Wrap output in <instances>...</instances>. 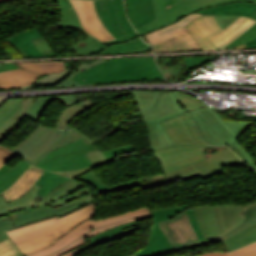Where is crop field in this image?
<instances>
[{
    "label": "crop field",
    "mask_w": 256,
    "mask_h": 256,
    "mask_svg": "<svg viewBox=\"0 0 256 256\" xmlns=\"http://www.w3.org/2000/svg\"><path fill=\"white\" fill-rule=\"evenodd\" d=\"M6 1H11V0H0V3L6 2Z\"/></svg>",
    "instance_id": "447ae74e"
},
{
    "label": "crop field",
    "mask_w": 256,
    "mask_h": 256,
    "mask_svg": "<svg viewBox=\"0 0 256 256\" xmlns=\"http://www.w3.org/2000/svg\"><path fill=\"white\" fill-rule=\"evenodd\" d=\"M31 41L44 57H57L55 52L43 36L31 39Z\"/></svg>",
    "instance_id": "c21b1889"
},
{
    "label": "crop field",
    "mask_w": 256,
    "mask_h": 256,
    "mask_svg": "<svg viewBox=\"0 0 256 256\" xmlns=\"http://www.w3.org/2000/svg\"><path fill=\"white\" fill-rule=\"evenodd\" d=\"M40 76L23 68L0 73V88H19L33 84Z\"/></svg>",
    "instance_id": "4177f3b9"
},
{
    "label": "crop field",
    "mask_w": 256,
    "mask_h": 256,
    "mask_svg": "<svg viewBox=\"0 0 256 256\" xmlns=\"http://www.w3.org/2000/svg\"><path fill=\"white\" fill-rule=\"evenodd\" d=\"M56 134L57 132L42 127L14 152L28 160L47 145Z\"/></svg>",
    "instance_id": "00972430"
},
{
    "label": "crop field",
    "mask_w": 256,
    "mask_h": 256,
    "mask_svg": "<svg viewBox=\"0 0 256 256\" xmlns=\"http://www.w3.org/2000/svg\"><path fill=\"white\" fill-rule=\"evenodd\" d=\"M214 17L216 18L222 29H224L239 16L214 15Z\"/></svg>",
    "instance_id": "25e5ab78"
},
{
    "label": "crop field",
    "mask_w": 256,
    "mask_h": 256,
    "mask_svg": "<svg viewBox=\"0 0 256 256\" xmlns=\"http://www.w3.org/2000/svg\"><path fill=\"white\" fill-rule=\"evenodd\" d=\"M234 48H256V40L236 46ZM233 49V48H231Z\"/></svg>",
    "instance_id": "dbb93151"
},
{
    "label": "crop field",
    "mask_w": 256,
    "mask_h": 256,
    "mask_svg": "<svg viewBox=\"0 0 256 256\" xmlns=\"http://www.w3.org/2000/svg\"><path fill=\"white\" fill-rule=\"evenodd\" d=\"M93 1L99 18L110 34L115 38L125 35L115 15L112 0Z\"/></svg>",
    "instance_id": "dafd665d"
},
{
    "label": "crop field",
    "mask_w": 256,
    "mask_h": 256,
    "mask_svg": "<svg viewBox=\"0 0 256 256\" xmlns=\"http://www.w3.org/2000/svg\"><path fill=\"white\" fill-rule=\"evenodd\" d=\"M56 2L61 7V19L58 23H56L58 29L74 28L85 33L87 39L81 41L79 44L75 46H72V49L74 50L76 56H83L86 54L89 55L91 52L95 50L96 46L100 44V41H98L96 38L85 32L69 0H60Z\"/></svg>",
    "instance_id": "5142ce71"
},
{
    "label": "crop field",
    "mask_w": 256,
    "mask_h": 256,
    "mask_svg": "<svg viewBox=\"0 0 256 256\" xmlns=\"http://www.w3.org/2000/svg\"><path fill=\"white\" fill-rule=\"evenodd\" d=\"M194 213L205 239L218 234L212 206L194 208Z\"/></svg>",
    "instance_id": "eef30255"
},
{
    "label": "crop field",
    "mask_w": 256,
    "mask_h": 256,
    "mask_svg": "<svg viewBox=\"0 0 256 256\" xmlns=\"http://www.w3.org/2000/svg\"><path fill=\"white\" fill-rule=\"evenodd\" d=\"M132 25L138 28L154 19L152 0H125Z\"/></svg>",
    "instance_id": "92a150f3"
},
{
    "label": "crop field",
    "mask_w": 256,
    "mask_h": 256,
    "mask_svg": "<svg viewBox=\"0 0 256 256\" xmlns=\"http://www.w3.org/2000/svg\"><path fill=\"white\" fill-rule=\"evenodd\" d=\"M178 101L181 103V105L183 106V108L186 111H189L191 109L194 108H199V107H205L206 105L203 104L202 102H200L199 100L190 97L184 93L181 92H174Z\"/></svg>",
    "instance_id": "b80d0937"
},
{
    "label": "crop field",
    "mask_w": 256,
    "mask_h": 256,
    "mask_svg": "<svg viewBox=\"0 0 256 256\" xmlns=\"http://www.w3.org/2000/svg\"><path fill=\"white\" fill-rule=\"evenodd\" d=\"M151 216L152 214L146 209V207H144L139 210L107 217L97 221H93L92 218H90L70 230L64 235V237L56 240L54 244L28 256H74L83 248L88 237L119 224Z\"/></svg>",
    "instance_id": "d8731c3e"
},
{
    "label": "crop field",
    "mask_w": 256,
    "mask_h": 256,
    "mask_svg": "<svg viewBox=\"0 0 256 256\" xmlns=\"http://www.w3.org/2000/svg\"><path fill=\"white\" fill-rule=\"evenodd\" d=\"M230 255L231 256H256V243L248 245L239 250L230 252ZM198 256H229V255L227 253H222V252H212V253H206Z\"/></svg>",
    "instance_id": "0bd39190"
},
{
    "label": "crop field",
    "mask_w": 256,
    "mask_h": 256,
    "mask_svg": "<svg viewBox=\"0 0 256 256\" xmlns=\"http://www.w3.org/2000/svg\"><path fill=\"white\" fill-rule=\"evenodd\" d=\"M142 39H143V41H145L146 43L149 44V42L147 41V39L144 36H142Z\"/></svg>",
    "instance_id": "9d1cf04e"
},
{
    "label": "crop field",
    "mask_w": 256,
    "mask_h": 256,
    "mask_svg": "<svg viewBox=\"0 0 256 256\" xmlns=\"http://www.w3.org/2000/svg\"><path fill=\"white\" fill-rule=\"evenodd\" d=\"M10 170L9 168H7L5 165H3L1 168H0V176L2 174H4L6 171Z\"/></svg>",
    "instance_id": "1d79db26"
},
{
    "label": "crop field",
    "mask_w": 256,
    "mask_h": 256,
    "mask_svg": "<svg viewBox=\"0 0 256 256\" xmlns=\"http://www.w3.org/2000/svg\"><path fill=\"white\" fill-rule=\"evenodd\" d=\"M72 78L78 84L164 79L153 57L110 59Z\"/></svg>",
    "instance_id": "f4fd0767"
},
{
    "label": "crop field",
    "mask_w": 256,
    "mask_h": 256,
    "mask_svg": "<svg viewBox=\"0 0 256 256\" xmlns=\"http://www.w3.org/2000/svg\"><path fill=\"white\" fill-rule=\"evenodd\" d=\"M108 59H95L91 65L83 64L79 66V69L77 71H73L72 68L69 70V65L74 61H64L65 64V70L61 73H52L49 75H44L40 77L36 82H34L33 85L26 87V88H31L36 85H55V86H72V85H77L74 80L71 78L73 75L76 73L87 69L91 66H94L98 63H101L103 61H106ZM25 89V88H22Z\"/></svg>",
    "instance_id": "bc2a9ffb"
},
{
    "label": "crop field",
    "mask_w": 256,
    "mask_h": 256,
    "mask_svg": "<svg viewBox=\"0 0 256 256\" xmlns=\"http://www.w3.org/2000/svg\"><path fill=\"white\" fill-rule=\"evenodd\" d=\"M187 206L152 211L154 224L147 246L136 253L137 256H160L173 251V247L156 222L172 218L185 210Z\"/></svg>",
    "instance_id": "22f410ed"
},
{
    "label": "crop field",
    "mask_w": 256,
    "mask_h": 256,
    "mask_svg": "<svg viewBox=\"0 0 256 256\" xmlns=\"http://www.w3.org/2000/svg\"><path fill=\"white\" fill-rule=\"evenodd\" d=\"M200 16L193 13L178 20L174 24L144 35L154 52L158 51H181V50H201L192 36L185 29V25L192 19ZM159 43V45H157Z\"/></svg>",
    "instance_id": "3316defc"
},
{
    "label": "crop field",
    "mask_w": 256,
    "mask_h": 256,
    "mask_svg": "<svg viewBox=\"0 0 256 256\" xmlns=\"http://www.w3.org/2000/svg\"><path fill=\"white\" fill-rule=\"evenodd\" d=\"M54 100L61 102L66 108L60 115V120L55 128L43 125L40 123L39 118L44 112L48 104ZM24 105L15 113V115L0 129V142L6 138L16 126L24 119L29 118L40 123V126L33 131L26 139H24L17 147L24 143L28 138H30L36 131H38L42 126L59 132L53 140L40 152L34 155L28 161L32 162L33 165L41 161V159L50 151L62 147L66 144L74 142L78 139L85 137L82 133L76 131L67 124L79 113L85 111L86 109L92 107V103L89 99L78 102L73 96H50V97H34L25 98L21 101ZM64 129V131H62ZM71 129V131H68Z\"/></svg>",
    "instance_id": "34b2d1b8"
},
{
    "label": "crop field",
    "mask_w": 256,
    "mask_h": 256,
    "mask_svg": "<svg viewBox=\"0 0 256 256\" xmlns=\"http://www.w3.org/2000/svg\"><path fill=\"white\" fill-rule=\"evenodd\" d=\"M96 149L92 143L83 138L79 141L66 145L48 153L41 162L35 166L56 170H73L91 165L84 152Z\"/></svg>",
    "instance_id": "28ad6ade"
},
{
    "label": "crop field",
    "mask_w": 256,
    "mask_h": 256,
    "mask_svg": "<svg viewBox=\"0 0 256 256\" xmlns=\"http://www.w3.org/2000/svg\"><path fill=\"white\" fill-rule=\"evenodd\" d=\"M10 44L24 57L29 58L25 52L16 44V42L13 39L8 40Z\"/></svg>",
    "instance_id": "1f2cbd36"
},
{
    "label": "crop field",
    "mask_w": 256,
    "mask_h": 256,
    "mask_svg": "<svg viewBox=\"0 0 256 256\" xmlns=\"http://www.w3.org/2000/svg\"><path fill=\"white\" fill-rule=\"evenodd\" d=\"M136 224H137V221H134L131 223L119 225L105 232L97 234L88 239L87 244L81 251L94 247L96 245L102 244L104 242H109L115 239H119L123 236L135 233Z\"/></svg>",
    "instance_id": "730fd06b"
},
{
    "label": "crop field",
    "mask_w": 256,
    "mask_h": 256,
    "mask_svg": "<svg viewBox=\"0 0 256 256\" xmlns=\"http://www.w3.org/2000/svg\"><path fill=\"white\" fill-rule=\"evenodd\" d=\"M250 17H252L253 19L256 20V11L253 14H251ZM255 38H256V24L253 25L249 30H247L239 38H237L232 43H230L229 45H227L226 47H224L222 49H228V48H231L233 46H236V45H239V44L251 41V40H253Z\"/></svg>",
    "instance_id": "c035e120"
},
{
    "label": "crop field",
    "mask_w": 256,
    "mask_h": 256,
    "mask_svg": "<svg viewBox=\"0 0 256 256\" xmlns=\"http://www.w3.org/2000/svg\"><path fill=\"white\" fill-rule=\"evenodd\" d=\"M20 68L14 63H0V72L5 71V70H10V69H16Z\"/></svg>",
    "instance_id": "89e229c0"
},
{
    "label": "crop field",
    "mask_w": 256,
    "mask_h": 256,
    "mask_svg": "<svg viewBox=\"0 0 256 256\" xmlns=\"http://www.w3.org/2000/svg\"><path fill=\"white\" fill-rule=\"evenodd\" d=\"M158 225L175 250L185 248V245L199 242L189 222L186 210L172 219L159 222Z\"/></svg>",
    "instance_id": "cbeb9de0"
},
{
    "label": "crop field",
    "mask_w": 256,
    "mask_h": 256,
    "mask_svg": "<svg viewBox=\"0 0 256 256\" xmlns=\"http://www.w3.org/2000/svg\"><path fill=\"white\" fill-rule=\"evenodd\" d=\"M86 155L88 156L89 160L91 161V163L93 165L86 167L84 169L81 170H73V171H56L57 173L60 174H68L69 177L75 178L77 176H80L88 171L91 170V168L101 165V164H105L108 163V160L105 158V156L102 154V152L100 150H94V151H90V152H86Z\"/></svg>",
    "instance_id": "d32e631a"
},
{
    "label": "crop field",
    "mask_w": 256,
    "mask_h": 256,
    "mask_svg": "<svg viewBox=\"0 0 256 256\" xmlns=\"http://www.w3.org/2000/svg\"><path fill=\"white\" fill-rule=\"evenodd\" d=\"M131 151H135V148L132 144L118 147V148L111 149V150H107V151H103V154L106 156L107 159H109L116 155L131 152Z\"/></svg>",
    "instance_id": "b54c1fbb"
},
{
    "label": "crop field",
    "mask_w": 256,
    "mask_h": 256,
    "mask_svg": "<svg viewBox=\"0 0 256 256\" xmlns=\"http://www.w3.org/2000/svg\"><path fill=\"white\" fill-rule=\"evenodd\" d=\"M193 119L202 139L211 145H228L252 169L256 162L251 155L236 141L254 122L226 121L210 107L194 109L187 112Z\"/></svg>",
    "instance_id": "e52e79f7"
},
{
    "label": "crop field",
    "mask_w": 256,
    "mask_h": 256,
    "mask_svg": "<svg viewBox=\"0 0 256 256\" xmlns=\"http://www.w3.org/2000/svg\"><path fill=\"white\" fill-rule=\"evenodd\" d=\"M254 173L256 174V171H254Z\"/></svg>",
    "instance_id": "7b73153f"
},
{
    "label": "crop field",
    "mask_w": 256,
    "mask_h": 256,
    "mask_svg": "<svg viewBox=\"0 0 256 256\" xmlns=\"http://www.w3.org/2000/svg\"><path fill=\"white\" fill-rule=\"evenodd\" d=\"M14 245L10 239L0 242V256H17L21 254Z\"/></svg>",
    "instance_id": "03da06ac"
},
{
    "label": "crop field",
    "mask_w": 256,
    "mask_h": 256,
    "mask_svg": "<svg viewBox=\"0 0 256 256\" xmlns=\"http://www.w3.org/2000/svg\"><path fill=\"white\" fill-rule=\"evenodd\" d=\"M113 2L117 17L126 34L134 31L133 27L130 25L126 18L123 0H113Z\"/></svg>",
    "instance_id": "e1f06a70"
},
{
    "label": "crop field",
    "mask_w": 256,
    "mask_h": 256,
    "mask_svg": "<svg viewBox=\"0 0 256 256\" xmlns=\"http://www.w3.org/2000/svg\"><path fill=\"white\" fill-rule=\"evenodd\" d=\"M31 165L23 160L16 167L6 172L0 177V193L15 183L19 177L25 172V170Z\"/></svg>",
    "instance_id": "120bbe31"
},
{
    "label": "crop field",
    "mask_w": 256,
    "mask_h": 256,
    "mask_svg": "<svg viewBox=\"0 0 256 256\" xmlns=\"http://www.w3.org/2000/svg\"><path fill=\"white\" fill-rule=\"evenodd\" d=\"M14 228L11 220L9 219V216H5L0 218V241L8 238V235L6 234L5 230Z\"/></svg>",
    "instance_id": "5d738f31"
},
{
    "label": "crop field",
    "mask_w": 256,
    "mask_h": 256,
    "mask_svg": "<svg viewBox=\"0 0 256 256\" xmlns=\"http://www.w3.org/2000/svg\"><path fill=\"white\" fill-rule=\"evenodd\" d=\"M151 47L148 46V47H144V48H140V49H137V50H133V51H129V52H125V53H140L142 51H146V50H150ZM123 54V53H122Z\"/></svg>",
    "instance_id": "0fb4a251"
},
{
    "label": "crop field",
    "mask_w": 256,
    "mask_h": 256,
    "mask_svg": "<svg viewBox=\"0 0 256 256\" xmlns=\"http://www.w3.org/2000/svg\"><path fill=\"white\" fill-rule=\"evenodd\" d=\"M175 146L152 151L159 161L167 182L201 175L202 179L223 172L222 166L242 165L230 148L217 152L206 159L203 155L206 145L190 117L183 113L161 122Z\"/></svg>",
    "instance_id": "8a807250"
},
{
    "label": "crop field",
    "mask_w": 256,
    "mask_h": 256,
    "mask_svg": "<svg viewBox=\"0 0 256 256\" xmlns=\"http://www.w3.org/2000/svg\"><path fill=\"white\" fill-rule=\"evenodd\" d=\"M67 180H69V178L45 171L36 182V184L42 185L38 191V194L45 197L54 187L64 183Z\"/></svg>",
    "instance_id": "1d83c4d3"
},
{
    "label": "crop field",
    "mask_w": 256,
    "mask_h": 256,
    "mask_svg": "<svg viewBox=\"0 0 256 256\" xmlns=\"http://www.w3.org/2000/svg\"><path fill=\"white\" fill-rule=\"evenodd\" d=\"M16 64L40 76L64 70L63 61L22 62Z\"/></svg>",
    "instance_id": "750c4746"
},
{
    "label": "crop field",
    "mask_w": 256,
    "mask_h": 256,
    "mask_svg": "<svg viewBox=\"0 0 256 256\" xmlns=\"http://www.w3.org/2000/svg\"><path fill=\"white\" fill-rule=\"evenodd\" d=\"M86 32L101 42L114 39L97 18L92 0H70Z\"/></svg>",
    "instance_id": "d9b57169"
},
{
    "label": "crop field",
    "mask_w": 256,
    "mask_h": 256,
    "mask_svg": "<svg viewBox=\"0 0 256 256\" xmlns=\"http://www.w3.org/2000/svg\"><path fill=\"white\" fill-rule=\"evenodd\" d=\"M188 211V214H189V218H190V222L195 230V232L197 233L198 237L200 240H203L204 237L202 236L199 228H198V225L196 223V220H195V217H194V213H193V210H187Z\"/></svg>",
    "instance_id": "73cf0c24"
},
{
    "label": "crop field",
    "mask_w": 256,
    "mask_h": 256,
    "mask_svg": "<svg viewBox=\"0 0 256 256\" xmlns=\"http://www.w3.org/2000/svg\"><path fill=\"white\" fill-rule=\"evenodd\" d=\"M15 155L17 154L0 145V167Z\"/></svg>",
    "instance_id": "425ffa30"
},
{
    "label": "crop field",
    "mask_w": 256,
    "mask_h": 256,
    "mask_svg": "<svg viewBox=\"0 0 256 256\" xmlns=\"http://www.w3.org/2000/svg\"><path fill=\"white\" fill-rule=\"evenodd\" d=\"M94 211V203H91L69 214L19 226L6 232L21 252L27 255L54 243L61 235L93 216Z\"/></svg>",
    "instance_id": "412701ff"
},
{
    "label": "crop field",
    "mask_w": 256,
    "mask_h": 256,
    "mask_svg": "<svg viewBox=\"0 0 256 256\" xmlns=\"http://www.w3.org/2000/svg\"><path fill=\"white\" fill-rule=\"evenodd\" d=\"M130 256H136V255H135V253H134V254H132V255H130Z\"/></svg>",
    "instance_id": "0765c3eb"
},
{
    "label": "crop field",
    "mask_w": 256,
    "mask_h": 256,
    "mask_svg": "<svg viewBox=\"0 0 256 256\" xmlns=\"http://www.w3.org/2000/svg\"><path fill=\"white\" fill-rule=\"evenodd\" d=\"M19 256H24V255H19Z\"/></svg>",
    "instance_id": "db79e9e6"
},
{
    "label": "crop field",
    "mask_w": 256,
    "mask_h": 256,
    "mask_svg": "<svg viewBox=\"0 0 256 256\" xmlns=\"http://www.w3.org/2000/svg\"><path fill=\"white\" fill-rule=\"evenodd\" d=\"M256 10V4L237 2L222 6H214L205 10L198 11L200 14H227V15H245L249 16Z\"/></svg>",
    "instance_id": "ae1a2a85"
},
{
    "label": "crop field",
    "mask_w": 256,
    "mask_h": 256,
    "mask_svg": "<svg viewBox=\"0 0 256 256\" xmlns=\"http://www.w3.org/2000/svg\"><path fill=\"white\" fill-rule=\"evenodd\" d=\"M219 235L222 241L256 222V203L246 206H213Z\"/></svg>",
    "instance_id": "d1516ede"
},
{
    "label": "crop field",
    "mask_w": 256,
    "mask_h": 256,
    "mask_svg": "<svg viewBox=\"0 0 256 256\" xmlns=\"http://www.w3.org/2000/svg\"><path fill=\"white\" fill-rule=\"evenodd\" d=\"M185 27L203 50L212 49L204 38L222 30L213 15L198 17Z\"/></svg>",
    "instance_id": "733c2abd"
},
{
    "label": "crop field",
    "mask_w": 256,
    "mask_h": 256,
    "mask_svg": "<svg viewBox=\"0 0 256 256\" xmlns=\"http://www.w3.org/2000/svg\"><path fill=\"white\" fill-rule=\"evenodd\" d=\"M254 241H256V223L222 242L227 251H231Z\"/></svg>",
    "instance_id": "d3111659"
},
{
    "label": "crop field",
    "mask_w": 256,
    "mask_h": 256,
    "mask_svg": "<svg viewBox=\"0 0 256 256\" xmlns=\"http://www.w3.org/2000/svg\"><path fill=\"white\" fill-rule=\"evenodd\" d=\"M77 178L84 179V180L90 182L91 184L95 185L97 190H98L97 193L116 191V190H120V189H124V188L134 186L133 182L130 181V182H126V183H123V184H119V185L107 188L98 180V178L95 176L94 173H90V172H88V173H86V174H84L80 177H77Z\"/></svg>",
    "instance_id": "5866460e"
},
{
    "label": "crop field",
    "mask_w": 256,
    "mask_h": 256,
    "mask_svg": "<svg viewBox=\"0 0 256 256\" xmlns=\"http://www.w3.org/2000/svg\"><path fill=\"white\" fill-rule=\"evenodd\" d=\"M22 99H9L0 107V128L14 115L23 105Z\"/></svg>",
    "instance_id": "028f5c9d"
},
{
    "label": "crop field",
    "mask_w": 256,
    "mask_h": 256,
    "mask_svg": "<svg viewBox=\"0 0 256 256\" xmlns=\"http://www.w3.org/2000/svg\"><path fill=\"white\" fill-rule=\"evenodd\" d=\"M144 46H148V45L143 43V41L135 31L129 35H125L118 39L101 43L100 46L96 48L94 52L98 54H119L124 51L132 50V49H136Z\"/></svg>",
    "instance_id": "214f88e0"
},
{
    "label": "crop field",
    "mask_w": 256,
    "mask_h": 256,
    "mask_svg": "<svg viewBox=\"0 0 256 256\" xmlns=\"http://www.w3.org/2000/svg\"><path fill=\"white\" fill-rule=\"evenodd\" d=\"M39 187L34 184L27 194L10 203H7L0 194V217L9 215L17 227L52 216H60L93 202V193L90 189L72 179L53 189L45 198L36 194Z\"/></svg>",
    "instance_id": "ac0d7876"
},
{
    "label": "crop field",
    "mask_w": 256,
    "mask_h": 256,
    "mask_svg": "<svg viewBox=\"0 0 256 256\" xmlns=\"http://www.w3.org/2000/svg\"><path fill=\"white\" fill-rule=\"evenodd\" d=\"M39 31L34 28L27 31H23L18 35L11 37L18 45L27 53L30 58L43 57L29 39L40 36ZM10 39V38H9Z\"/></svg>",
    "instance_id": "bd1437ed"
},
{
    "label": "crop field",
    "mask_w": 256,
    "mask_h": 256,
    "mask_svg": "<svg viewBox=\"0 0 256 256\" xmlns=\"http://www.w3.org/2000/svg\"><path fill=\"white\" fill-rule=\"evenodd\" d=\"M148 130L152 150L172 146L168 134L159 122L183 113L173 92H132Z\"/></svg>",
    "instance_id": "dd49c442"
},
{
    "label": "crop field",
    "mask_w": 256,
    "mask_h": 256,
    "mask_svg": "<svg viewBox=\"0 0 256 256\" xmlns=\"http://www.w3.org/2000/svg\"><path fill=\"white\" fill-rule=\"evenodd\" d=\"M237 1L256 3V0H153L157 19L136 30L142 36L170 23H174L189 13L205 9L209 6Z\"/></svg>",
    "instance_id": "5a996713"
},
{
    "label": "crop field",
    "mask_w": 256,
    "mask_h": 256,
    "mask_svg": "<svg viewBox=\"0 0 256 256\" xmlns=\"http://www.w3.org/2000/svg\"><path fill=\"white\" fill-rule=\"evenodd\" d=\"M216 56H198V57H186L184 58L189 68L199 65L205 61H208Z\"/></svg>",
    "instance_id": "d23c7cc5"
},
{
    "label": "crop field",
    "mask_w": 256,
    "mask_h": 256,
    "mask_svg": "<svg viewBox=\"0 0 256 256\" xmlns=\"http://www.w3.org/2000/svg\"><path fill=\"white\" fill-rule=\"evenodd\" d=\"M254 23H256L255 20L249 17L240 16L233 23H231L227 28L206 39L211 43V45L215 49H220L226 46L227 44H229L230 42H232L237 37H239Z\"/></svg>",
    "instance_id": "4a817a6b"
},
{
    "label": "crop field",
    "mask_w": 256,
    "mask_h": 256,
    "mask_svg": "<svg viewBox=\"0 0 256 256\" xmlns=\"http://www.w3.org/2000/svg\"><path fill=\"white\" fill-rule=\"evenodd\" d=\"M43 172L44 170L30 167L11 188L3 193L7 202H10L27 193V191L30 190Z\"/></svg>",
    "instance_id": "a9b5d70f"
}]
</instances>
